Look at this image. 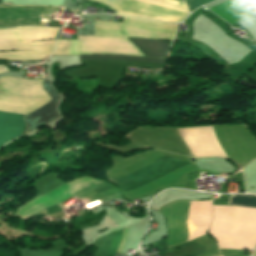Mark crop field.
Segmentation results:
<instances>
[{
  "label": "crop field",
  "instance_id": "obj_2",
  "mask_svg": "<svg viewBox=\"0 0 256 256\" xmlns=\"http://www.w3.org/2000/svg\"><path fill=\"white\" fill-rule=\"evenodd\" d=\"M113 53L143 56L122 34L118 23L95 21L94 36H78V41L59 40L53 54Z\"/></svg>",
  "mask_w": 256,
  "mask_h": 256
},
{
  "label": "crop field",
  "instance_id": "obj_9",
  "mask_svg": "<svg viewBox=\"0 0 256 256\" xmlns=\"http://www.w3.org/2000/svg\"><path fill=\"white\" fill-rule=\"evenodd\" d=\"M130 39L146 56L163 57L165 51H167L168 43L148 40V39Z\"/></svg>",
  "mask_w": 256,
  "mask_h": 256
},
{
  "label": "crop field",
  "instance_id": "obj_8",
  "mask_svg": "<svg viewBox=\"0 0 256 256\" xmlns=\"http://www.w3.org/2000/svg\"><path fill=\"white\" fill-rule=\"evenodd\" d=\"M215 14L229 22L231 25L252 17L241 0H228L210 9Z\"/></svg>",
  "mask_w": 256,
  "mask_h": 256
},
{
  "label": "crop field",
  "instance_id": "obj_12",
  "mask_svg": "<svg viewBox=\"0 0 256 256\" xmlns=\"http://www.w3.org/2000/svg\"><path fill=\"white\" fill-rule=\"evenodd\" d=\"M212 1H215V0H185L190 12L199 6Z\"/></svg>",
  "mask_w": 256,
  "mask_h": 256
},
{
  "label": "crop field",
  "instance_id": "obj_1",
  "mask_svg": "<svg viewBox=\"0 0 256 256\" xmlns=\"http://www.w3.org/2000/svg\"><path fill=\"white\" fill-rule=\"evenodd\" d=\"M42 79H21L12 76L0 78V112L27 114L49 101L41 87ZM0 113V147L20 136L24 115Z\"/></svg>",
  "mask_w": 256,
  "mask_h": 256
},
{
  "label": "crop field",
  "instance_id": "obj_4",
  "mask_svg": "<svg viewBox=\"0 0 256 256\" xmlns=\"http://www.w3.org/2000/svg\"><path fill=\"white\" fill-rule=\"evenodd\" d=\"M117 9L118 15L177 23L187 14L176 0H93Z\"/></svg>",
  "mask_w": 256,
  "mask_h": 256
},
{
  "label": "crop field",
  "instance_id": "obj_10",
  "mask_svg": "<svg viewBox=\"0 0 256 256\" xmlns=\"http://www.w3.org/2000/svg\"><path fill=\"white\" fill-rule=\"evenodd\" d=\"M81 59H128L153 63H166L167 59H153L144 57L124 56V55H81Z\"/></svg>",
  "mask_w": 256,
  "mask_h": 256
},
{
  "label": "crop field",
  "instance_id": "obj_14",
  "mask_svg": "<svg viewBox=\"0 0 256 256\" xmlns=\"http://www.w3.org/2000/svg\"><path fill=\"white\" fill-rule=\"evenodd\" d=\"M181 1H183V0H181Z\"/></svg>",
  "mask_w": 256,
  "mask_h": 256
},
{
  "label": "crop field",
  "instance_id": "obj_5",
  "mask_svg": "<svg viewBox=\"0 0 256 256\" xmlns=\"http://www.w3.org/2000/svg\"><path fill=\"white\" fill-rule=\"evenodd\" d=\"M188 164L192 163L189 161L162 157L141 169L119 178L110 179L109 181L116 184L121 192L125 193L147 185L154 180Z\"/></svg>",
  "mask_w": 256,
  "mask_h": 256
},
{
  "label": "crop field",
  "instance_id": "obj_13",
  "mask_svg": "<svg viewBox=\"0 0 256 256\" xmlns=\"http://www.w3.org/2000/svg\"><path fill=\"white\" fill-rule=\"evenodd\" d=\"M8 71H10V70L8 68H6L5 66H3V65L0 66V73H5Z\"/></svg>",
  "mask_w": 256,
  "mask_h": 256
},
{
  "label": "crop field",
  "instance_id": "obj_7",
  "mask_svg": "<svg viewBox=\"0 0 256 256\" xmlns=\"http://www.w3.org/2000/svg\"><path fill=\"white\" fill-rule=\"evenodd\" d=\"M43 87L45 91L49 93L52 100L42 108L30 113L25 117V121L29 125V131L59 117L56 110V105L61 100L60 97L50 86V80L44 79Z\"/></svg>",
  "mask_w": 256,
  "mask_h": 256
},
{
  "label": "crop field",
  "instance_id": "obj_11",
  "mask_svg": "<svg viewBox=\"0 0 256 256\" xmlns=\"http://www.w3.org/2000/svg\"><path fill=\"white\" fill-rule=\"evenodd\" d=\"M228 205L256 208V195L235 194L230 196Z\"/></svg>",
  "mask_w": 256,
  "mask_h": 256
},
{
  "label": "crop field",
  "instance_id": "obj_6",
  "mask_svg": "<svg viewBox=\"0 0 256 256\" xmlns=\"http://www.w3.org/2000/svg\"><path fill=\"white\" fill-rule=\"evenodd\" d=\"M123 32L128 37L172 40L175 25L125 17L121 23Z\"/></svg>",
  "mask_w": 256,
  "mask_h": 256
},
{
  "label": "crop field",
  "instance_id": "obj_3",
  "mask_svg": "<svg viewBox=\"0 0 256 256\" xmlns=\"http://www.w3.org/2000/svg\"><path fill=\"white\" fill-rule=\"evenodd\" d=\"M58 30L59 28H46V27H19L17 29H11V30H0V51L1 50H22V49L54 46L57 40L27 42V43H20V42L55 38ZM52 48L15 51V52H0V59L33 60V59L47 58L50 55Z\"/></svg>",
  "mask_w": 256,
  "mask_h": 256
}]
</instances>
